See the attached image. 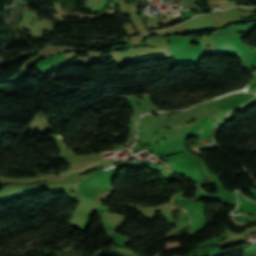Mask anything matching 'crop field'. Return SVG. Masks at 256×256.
<instances>
[{
    "mask_svg": "<svg viewBox=\"0 0 256 256\" xmlns=\"http://www.w3.org/2000/svg\"><path fill=\"white\" fill-rule=\"evenodd\" d=\"M182 209V211H185V212H187L186 210H184L183 208H181Z\"/></svg>",
    "mask_w": 256,
    "mask_h": 256,
    "instance_id": "obj_1",
    "label": "crop field"
}]
</instances>
